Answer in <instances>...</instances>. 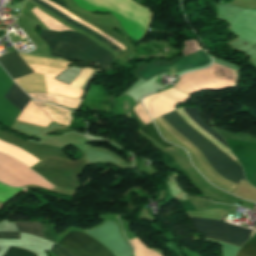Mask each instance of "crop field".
Segmentation results:
<instances>
[{
    "label": "crop field",
    "instance_id": "obj_15",
    "mask_svg": "<svg viewBox=\"0 0 256 256\" xmlns=\"http://www.w3.org/2000/svg\"><path fill=\"white\" fill-rule=\"evenodd\" d=\"M29 235L24 233H7L0 232V238H9V239H28Z\"/></svg>",
    "mask_w": 256,
    "mask_h": 256
},
{
    "label": "crop field",
    "instance_id": "obj_10",
    "mask_svg": "<svg viewBox=\"0 0 256 256\" xmlns=\"http://www.w3.org/2000/svg\"><path fill=\"white\" fill-rule=\"evenodd\" d=\"M183 111L194 121L196 122L200 127H202L205 131H207L209 134H211L213 137H215L218 141H220L224 146H226L225 142L222 140V138L217 134L214 130L210 129L200 118L201 112L194 108V107H184L182 108ZM227 147V146H226Z\"/></svg>",
    "mask_w": 256,
    "mask_h": 256
},
{
    "label": "crop field",
    "instance_id": "obj_6",
    "mask_svg": "<svg viewBox=\"0 0 256 256\" xmlns=\"http://www.w3.org/2000/svg\"><path fill=\"white\" fill-rule=\"evenodd\" d=\"M184 45L185 47L182 50L184 56L200 49L199 45L196 43L195 40L184 41ZM207 63L208 58L206 57L204 51L200 49L194 53L185 56L168 68L148 66L136 75L147 81L164 72L174 73L181 70L205 65Z\"/></svg>",
    "mask_w": 256,
    "mask_h": 256
},
{
    "label": "crop field",
    "instance_id": "obj_7",
    "mask_svg": "<svg viewBox=\"0 0 256 256\" xmlns=\"http://www.w3.org/2000/svg\"><path fill=\"white\" fill-rule=\"evenodd\" d=\"M59 245L75 256H114L104 246L81 232L71 231Z\"/></svg>",
    "mask_w": 256,
    "mask_h": 256
},
{
    "label": "crop field",
    "instance_id": "obj_17",
    "mask_svg": "<svg viewBox=\"0 0 256 256\" xmlns=\"http://www.w3.org/2000/svg\"><path fill=\"white\" fill-rule=\"evenodd\" d=\"M252 49L256 50V45L254 47H252Z\"/></svg>",
    "mask_w": 256,
    "mask_h": 256
},
{
    "label": "crop field",
    "instance_id": "obj_3",
    "mask_svg": "<svg viewBox=\"0 0 256 256\" xmlns=\"http://www.w3.org/2000/svg\"><path fill=\"white\" fill-rule=\"evenodd\" d=\"M237 184L244 179L242 168L187 126L175 111L159 117ZM245 180V179H244Z\"/></svg>",
    "mask_w": 256,
    "mask_h": 256
},
{
    "label": "crop field",
    "instance_id": "obj_1",
    "mask_svg": "<svg viewBox=\"0 0 256 256\" xmlns=\"http://www.w3.org/2000/svg\"><path fill=\"white\" fill-rule=\"evenodd\" d=\"M21 56L26 60L27 63L51 67V68H57L62 70H65L67 66L71 64L66 60H62L58 58H51V57L44 58V57L27 55V54H21ZM21 56L17 51H15L0 57L1 64L13 79L33 73L32 69L37 72H43V73L54 74V75H58L61 72H63L62 70L51 69V68L29 64L32 68L31 69ZM37 72L15 79V82H17L25 91L48 92L49 90V92L65 94L75 98H80L84 94L82 89L73 87L70 85L62 84L53 79L55 76L45 74L47 85H48V90H47L44 74L37 73Z\"/></svg>",
    "mask_w": 256,
    "mask_h": 256
},
{
    "label": "crop field",
    "instance_id": "obj_16",
    "mask_svg": "<svg viewBox=\"0 0 256 256\" xmlns=\"http://www.w3.org/2000/svg\"><path fill=\"white\" fill-rule=\"evenodd\" d=\"M50 251L53 252L56 256H71L69 253L55 244L52 246Z\"/></svg>",
    "mask_w": 256,
    "mask_h": 256
},
{
    "label": "crop field",
    "instance_id": "obj_5",
    "mask_svg": "<svg viewBox=\"0 0 256 256\" xmlns=\"http://www.w3.org/2000/svg\"><path fill=\"white\" fill-rule=\"evenodd\" d=\"M0 181L12 186L35 184L45 188L53 186L25 165L0 154Z\"/></svg>",
    "mask_w": 256,
    "mask_h": 256
},
{
    "label": "crop field",
    "instance_id": "obj_4",
    "mask_svg": "<svg viewBox=\"0 0 256 256\" xmlns=\"http://www.w3.org/2000/svg\"><path fill=\"white\" fill-rule=\"evenodd\" d=\"M196 232L204 233L205 237L224 241L236 245H242L249 239L250 229L229 225L215 220L190 218ZM255 231L251 232V236ZM250 236V237H251Z\"/></svg>",
    "mask_w": 256,
    "mask_h": 256
},
{
    "label": "crop field",
    "instance_id": "obj_9",
    "mask_svg": "<svg viewBox=\"0 0 256 256\" xmlns=\"http://www.w3.org/2000/svg\"><path fill=\"white\" fill-rule=\"evenodd\" d=\"M4 98L20 112L30 100L14 83Z\"/></svg>",
    "mask_w": 256,
    "mask_h": 256
},
{
    "label": "crop field",
    "instance_id": "obj_2",
    "mask_svg": "<svg viewBox=\"0 0 256 256\" xmlns=\"http://www.w3.org/2000/svg\"><path fill=\"white\" fill-rule=\"evenodd\" d=\"M39 37L48 44L53 57L78 61L90 60L105 69H110L113 65L114 58L111 54L76 32L42 31Z\"/></svg>",
    "mask_w": 256,
    "mask_h": 256
},
{
    "label": "crop field",
    "instance_id": "obj_13",
    "mask_svg": "<svg viewBox=\"0 0 256 256\" xmlns=\"http://www.w3.org/2000/svg\"><path fill=\"white\" fill-rule=\"evenodd\" d=\"M243 251L250 254L251 256H256V238L251 237L242 247ZM238 253V256H250L245 252L241 251Z\"/></svg>",
    "mask_w": 256,
    "mask_h": 256
},
{
    "label": "crop field",
    "instance_id": "obj_12",
    "mask_svg": "<svg viewBox=\"0 0 256 256\" xmlns=\"http://www.w3.org/2000/svg\"><path fill=\"white\" fill-rule=\"evenodd\" d=\"M19 232L32 233L38 236H43V232L41 229V223H26V222H14Z\"/></svg>",
    "mask_w": 256,
    "mask_h": 256
},
{
    "label": "crop field",
    "instance_id": "obj_14",
    "mask_svg": "<svg viewBox=\"0 0 256 256\" xmlns=\"http://www.w3.org/2000/svg\"><path fill=\"white\" fill-rule=\"evenodd\" d=\"M4 256H35V255H33L23 249L9 247V249L4 254Z\"/></svg>",
    "mask_w": 256,
    "mask_h": 256
},
{
    "label": "crop field",
    "instance_id": "obj_11",
    "mask_svg": "<svg viewBox=\"0 0 256 256\" xmlns=\"http://www.w3.org/2000/svg\"><path fill=\"white\" fill-rule=\"evenodd\" d=\"M141 131L144 132L151 139H153L155 142H157L159 145H161L162 147H164L166 150H168L171 153L180 149L176 146L170 145L167 142L163 141L150 124L148 126H146L144 129H142Z\"/></svg>",
    "mask_w": 256,
    "mask_h": 256
},
{
    "label": "crop field",
    "instance_id": "obj_8",
    "mask_svg": "<svg viewBox=\"0 0 256 256\" xmlns=\"http://www.w3.org/2000/svg\"><path fill=\"white\" fill-rule=\"evenodd\" d=\"M33 1L38 3L39 5L43 6L44 8L48 9L49 11H51L54 14H56L57 16L61 17L62 19L66 20L67 22L71 23L72 25L76 26L77 28L81 29L82 31L86 32L87 34L91 35L92 37L96 38L97 40H99L100 42H102L105 45L109 46L110 48L114 49L115 51H117L119 53H121L123 51V50L119 49L118 47H116L115 45L111 44L110 42L106 41L102 37H100L97 34L93 33L89 29H87L84 26L80 25L79 23L75 22L71 18H69L66 15L62 14L58 10H56L53 7L49 6L45 2H43L41 0H33ZM49 1H52V2L57 3V4L62 6L65 3L66 0L65 1H63V0H49Z\"/></svg>",
    "mask_w": 256,
    "mask_h": 256
}]
</instances>
